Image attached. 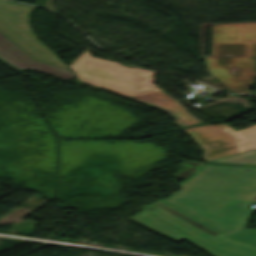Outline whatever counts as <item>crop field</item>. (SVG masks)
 I'll list each match as a JSON object with an SVG mask.
<instances>
[{
    "label": "crop field",
    "mask_w": 256,
    "mask_h": 256,
    "mask_svg": "<svg viewBox=\"0 0 256 256\" xmlns=\"http://www.w3.org/2000/svg\"><path fill=\"white\" fill-rule=\"evenodd\" d=\"M163 201L237 240L256 245V229L244 228L255 210L225 205L232 197L256 201V168L204 165Z\"/></svg>",
    "instance_id": "1"
},
{
    "label": "crop field",
    "mask_w": 256,
    "mask_h": 256,
    "mask_svg": "<svg viewBox=\"0 0 256 256\" xmlns=\"http://www.w3.org/2000/svg\"><path fill=\"white\" fill-rule=\"evenodd\" d=\"M69 67L75 71L81 82L148 103L182 118L179 124L181 127L201 123L190 117L178 103L162 92L143 91L151 84L155 73L153 71L126 68L111 61L92 58L87 51Z\"/></svg>",
    "instance_id": "2"
},
{
    "label": "crop field",
    "mask_w": 256,
    "mask_h": 256,
    "mask_svg": "<svg viewBox=\"0 0 256 256\" xmlns=\"http://www.w3.org/2000/svg\"><path fill=\"white\" fill-rule=\"evenodd\" d=\"M128 220L177 243L185 239L211 256H256V246L232 240L161 200Z\"/></svg>",
    "instance_id": "3"
},
{
    "label": "crop field",
    "mask_w": 256,
    "mask_h": 256,
    "mask_svg": "<svg viewBox=\"0 0 256 256\" xmlns=\"http://www.w3.org/2000/svg\"><path fill=\"white\" fill-rule=\"evenodd\" d=\"M255 56L256 23L213 25L211 56L204 60L212 74L234 92L250 93L241 85L253 81ZM228 67L238 68V74H228Z\"/></svg>",
    "instance_id": "4"
},
{
    "label": "crop field",
    "mask_w": 256,
    "mask_h": 256,
    "mask_svg": "<svg viewBox=\"0 0 256 256\" xmlns=\"http://www.w3.org/2000/svg\"><path fill=\"white\" fill-rule=\"evenodd\" d=\"M34 9L0 0V32L33 59L64 68L66 65L33 36L28 20Z\"/></svg>",
    "instance_id": "5"
},
{
    "label": "crop field",
    "mask_w": 256,
    "mask_h": 256,
    "mask_svg": "<svg viewBox=\"0 0 256 256\" xmlns=\"http://www.w3.org/2000/svg\"><path fill=\"white\" fill-rule=\"evenodd\" d=\"M201 145L205 161L256 148V125L235 131L227 124L199 125L184 129Z\"/></svg>",
    "instance_id": "6"
},
{
    "label": "crop field",
    "mask_w": 256,
    "mask_h": 256,
    "mask_svg": "<svg viewBox=\"0 0 256 256\" xmlns=\"http://www.w3.org/2000/svg\"><path fill=\"white\" fill-rule=\"evenodd\" d=\"M0 58L10 64L11 66L18 69H31L41 71L53 76L72 79L74 77L73 72L68 70L44 64L41 62L34 61L21 49L9 41L0 33Z\"/></svg>",
    "instance_id": "7"
},
{
    "label": "crop field",
    "mask_w": 256,
    "mask_h": 256,
    "mask_svg": "<svg viewBox=\"0 0 256 256\" xmlns=\"http://www.w3.org/2000/svg\"><path fill=\"white\" fill-rule=\"evenodd\" d=\"M208 162L256 165V149H251Z\"/></svg>",
    "instance_id": "8"
},
{
    "label": "crop field",
    "mask_w": 256,
    "mask_h": 256,
    "mask_svg": "<svg viewBox=\"0 0 256 256\" xmlns=\"http://www.w3.org/2000/svg\"><path fill=\"white\" fill-rule=\"evenodd\" d=\"M211 101H218V102H237V103H242L243 104V107L244 108H252L248 103H247V100L244 99V98H241V97H236V96H229L227 97L226 99H212ZM217 102V103H218ZM216 104V103H214ZM208 105H212V104H208ZM204 106H207V105H203V106H200V107H196L195 109H200Z\"/></svg>",
    "instance_id": "9"
}]
</instances>
